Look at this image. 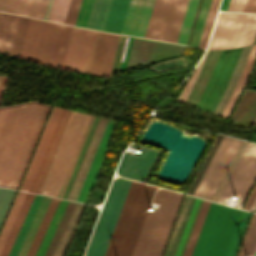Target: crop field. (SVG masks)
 Segmentation results:
<instances>
[{"label":"crop field","instance_id":"1","mask_svg":"<svg viewBox=\"0 0 256 256\" xmlns=\"http://www.w3.org/2000/svg\"><path fill=\"white\" fill-rule=\"evenodd\" d=\"M23 104L0 108V167L13 136ZM49 106L26 103L0 170V185L17 189Z\"/></svg>","mask_w":256,"mask_h":256},{"label":"crop field","instance_id":"2","mask_svg":"<svg viewBox=\"0 0 256 256\" xmlns=\"http://www.w3.org/2000/svg\"><path fill=\"white\" fill-rule=\"evenodd\" d=\"M211 203L192 256H235L249 212Z\"/></svg>","mask_w":256,"mask_h":256},{"label":"crop field","instance_id":"3","mask_svg":"<svg viewBox=\"0 0 256 256\" xmlns=\"http://www.w3.org/2000/svg\"><path fill=\"white\" fill-rule=\"evenodd\" d=\"M155 188L131 182L105 256H131Z\"/></svg>","mask_w":256,"mask_h":256},{"label":"crop field","instance_id":"4","mask_svg":"<svg viewBox=\"0 0 256 256\" xmlns=\"http://www.w3.org/2000/svg\"><path fill=\"white\" fill-rule=\"evenodd\" d=\"M183 194L158 190L153 201L158 211L147 212L132 256H161L183 199Z\"/></svg>","mask_w":256,"mask_h":256},{"label":"crop field","instance_id":"5","mask_svg":"<svg viewBox=\"0 0 256 256\" xmlns=\"http://www.w3.org/2000/svg\"><path fill=\"white\" fill-rule=\"evenodd\" d=\"M89 117L72 111L38 193L57 196Z\"/></svg>","mask_w":256,"mask_h":256},{"label":"crop field","instance_id":"6","mask_svg":"<svg viewBox=\"0 0 256 256\" xmlns=\"http://www.w3.org/2000/svg\"><path fill=\"white\" fill-rule=\"evenodd\" d=\"M255 33V14L219 12L208 49L250 45Z\"/></svg>","mask_w":256,"mask_h":256},{"label":"crop field","instance_id":"7","mask_svg":"<svg viewBox=\"0 0 256 256\" xmlns=\"http://www.w3.org/2000/svg\"><path fill=\"white\" fill-rule=\"evenodd\" d=\"M130 182L114 179L85 256L104 255Z\"/></svg>","mask_w":256,"mask_h":256},{"label":"crop field","instance_id":"8","mask_svg":"<svg viewBox=\"0 0 256 256\" xmlns=\"http://www.w3.org/2000/svg\"><path fill=\"white\" fill-rule=\"evenodd\" d=\"M71 29L42 20L32 61L62 69Z\"/></svg>","mask_w":256,"mask_h":256},{"label":"crop field","instance_id":"9","mask_svg":"<svg viewBox=\"0 0 256 256\" xmlns=\"http://www.w3.org/2000/svg\"><path fill=\"white\" fill-rule=\"evenodd\" d=\"M256 180V144L247 142L218 202L226 204L229 197L238 196L235 207L241 208Z\"/></svg>","mask_w":256,"mask_h":256},{"label":"crop field","instance_id":"10","mask_svg":"<svg viewBox=\"0 0 256 256\" xmlns=\"http://www.w3.org/2000/svg\"><path fill=\"white\" fill-rule=\"evenodd\" d=\"M241 48L221 50L196 107L212 113L238 59Z\"/></svg>","mask_w":256,"mask_h":256},{"label":"crop field","instance_id":"11","mask_svg":"<svg viewBox=\"0 0 256 256\" xmlns=\"http://www.w3.org/2000/svg\"><path fill=\"white\" fill-rule=\"evenodd\" d=\"M240 140L224 136L193 196L211 200Z\"/></svg>","mask_w":256,"mask_h":256},{"label":"crop field","instance_id":"12","mask_svg":"<svg viewBox=\"0 0 256 256\" xmlns=\"http://www.w3.org/2000/svg\"><path fill=\"white\" fill-rule=\"evenodd\" d=\"M80 28L72 29L63 69L89 74L98 32Z\"/></svg>","mask_w":256,"mask_h":256},{"label":"crop field","instance_id":"13","mask_svg":"<svg viewBox=\"0 0 256 256\" xmlns=\"http://www.w3.org/2000/svg\"><path fill=\"white\" fill-rule=\"evenodd\" d=\"M27 17L0 12V52L21 56L26 33Z\"/></svg>","mask_w":256,"mask_h":256},{"label":"crop field","instance_id":"14","mask_svg":"<svg viewBox=\"0 0 256 256\" xmlns=\"http://www.w3.org/2000/svg\"><path fill=\"white\" fill-rule=\"evenodd\" d=\"M132 145L134 148L141 149L143 151L142 154L134 156L125 152L117 169V173L122 177L145 183L160 151L134 143H132Z\"/></svg>","mask_w":256,"mask_h":256},{"label":"crop field","instance_id":"15","mask_svg":"<svg viewBox=\"0 0 256 256\" xmlns=\"http://www.w3.org/2000/svg\"><path fill=\"white\" fill-rule=\"evenodd\" d=\"M118 37L99 32L90 74L109 78Z\"/></svg>","mask_w":256,"mask_h":256},{"label":"crop field","instance_id":"16","mask_svg":"<svg viewBox=\"0 0 256 256\" xmlns=\"http://www.w3.org/2000/svg\"><path fill=\"white\" fill-rule=\"evenodd\" d=\"M153 2L154 0H131L121 33L143 37Z\"/></svg>","mask_w":256,"mask_h":256},{"label":"crop field","instance_id":"17","mask_svg":"<svg viewBox=\"0 0 256 256\" xmlns=\"http://www.w3.org/2000/svg\"><path fill=\"white\" fill-rule=\"evenodd\" d=\"M219 51L220 50H214V51H209V52L207 51L208 52V54L206 53L207 56L205 54L206 59H205V56H204L203 59L201 60L200 64H199L196 72H195L196 68L194 69L192 75L190 76V78L187 81L185 87L183 88L182 92L180 93V95L178 97V100H181V98H182V96H183V94H184V92H185V90H186V88H187V86H188V84H189V82H190L194 72H195V74H194V76H193V78H192V80H191V82H190V84H189V86H188V88H187V90H186L182 100H181L183 102L185 101V99H186V97H187V95H188V93H189V91H190V89H191V87H192V85H193V83H194L198 73H199V70H200V68L202 66V63H203V61L205 59V61L203 63V66H202V68L200 70V73H199V75H198V77H197V79H196V81H195V83H194V85H193V87H192V89H191V91H190L186 101H185L188 104H191L193 106L195 105V103H196V101H197V99H198V97H199V95H200V93H201V91H202V89H203L207 79H208V76H209V74H210V72L212 70V67H213V65L215 63V60L217 58V55H218Z\"/></svg>","mask_w":256,"mask_h":256},{"label":"crop field","instance_id":"18","mask_svg":"<svg viewBox=\"0 0 256 256\" xmlns=\"http://www.w3.org/2000/svg\"><path fill=\"white\" fill-rule=\"evenodd\" d=\"M115 121L109 120L76 201L86 203L100 169Z\"/></svg>","mask_w":256,"mask_h":256},{"label":"crop field","instance_id":"19","mask_svg":"<svg viewBox=\"0 0 256 256\" xmlns=\"http://www.w3.org/2000/svg\"><path fill=\"white\" fill-rule=\"evenodd\" d=\"M62 109L54 107L20 189L28 191Z\"/></svg>","mask_w":256,"mask_h":256},{"label":"crop field","instance_id":"20","mask_svg":"<svg viewBox=\"0 0 256 256\" xmlns=\"http://www.w3.org/2000/svg\"><path fill=\"white\" fill-rule=\"evenodd\" d=\"M69 114H70V111H67V110H64V109L62 110L61 115L58 119V122L56 124L55 129H54V132L52 134V137L49 141V144L47 146V149L45 151V154L43 156V159L40 163V166L38 168V171L36 173V176L34 178V181L31 185V188H30L29 191L35 192V193L38 192L39 187H40V185L42 183V180L44 178V175L46 173V170L48 168V165H49V163L51 161V158L53 156V153L55 151V148L57 146V143H58V141L60 139V136L62 134V131L64 129V126L66 124V121L69 117Z\"/></svg>","mask_w":256,"mask_h":256},{"label":"crop field","instance_id":"21","mask_svg":"<svg viewBox=\"0 0 256 256\" xmlns=\"http://www.w3.org/2000/svg\"><path fill=\"white\" fill-rule=\"evenodd\" d=\"M93 118H94V117H92V116L90 117L89 122H88V124H87V126H86V129H85L84 134H83V136H82V138H81V141H80V143H79V146H78V148H77V150H76V153H75V155H74V158H73V160H72V163H71V165H70V167H69V170H68V172H67V175H66V177H65V179H64V182H63V184H62V187H61V189H60V191H59V194H58V196H57V197H59V198H61L62 195H63V192H64V190H65V187H66V185H67V182H68V180H69V177H70L71 172H72V170H73V167H74V165H75V162H76V160H77V157H78V155H79V153H80V150H81V148H82V145H83V143H84V140H85V138H86V135H87V133H88V130H89V128H90V125H91V123H92ZM98 119H99V118L95 117L94 120H93V123H92V125H91L90 130H89V133H88V135H87V138H86V140H85V143H84L83 148H82V150H81V153H80V155H79V158H78V160H77V162H76V165H75V167H74V170H73V172H72V175H71V177H70V180H69V182H68V185H67V187H66V190H65V192H64V195H63V197H62V198H64V199H66L67 196H68V193H69V191H70V188H71V186H72V183H73V181H74V178H75L76 173H77V171H78V168H79V166H80V163H81V161H82V158H83V156H84V154H85V151H86V149H87V146H88V144H89V141H90V139H91V136H92V134H93V131H94V129H95V126H96V124H97Z\"/></svg>","mask_w":256,"mask_h":256},{"label":"crop field","instance_id":"22","mask_svg":"<svg viewBox=\"0 0 256 256\" xmlns=\"http://www.w3.org/2000/svg\"><path fill=\"white\" fill-rule=\"evenodd\" d=\"M195 197L186 196L183 207L181 209L180 215L178 217L176 226L174 228L173 234L171 236L170 242L168 244L167 250L164 256H174L176 249L178 247L179 241L181 239L182 233L184 231L185 225L187 223L188 217L190 215L191 209L193 207Z\"/></svg>","mask_w":256,"mask_h":256},{"label":"crop field","instance_id":"23","mask_svg":"<svg viewBox=\"0 0 256 256\" xmlns=\"http://www.w3.org/2000/svg\"><path fill=\"white\" fill-rule=\"evenodd\" d=\"M130 0H112L103 31L121 32Z\"/></svg>","mask_w":256,"mask_h":256},{"label":"crop field","instance_id":"24","mask_svg":"<svg viewBox=\"0 0 256 256\" xmlns=\"http://www.w3.org/2000/svg\"><path fill=\"white\" fill-rule=\"evenodd\" d=\"M34 196L35 195H33V194L32 195H30L29 193L26 194V196L23 200V203L20 207V210H19V212L16 216V219H15L13 225H12V228L9 232V235H8L6 241H5V244L2 248L0 256H8V253H9L11 247H12V244H13L16 236H17V233H18V231L21 227V224H22V222H23V220L26 216V213H27V211L30 207V204H31Z\"/></svg>","mask_w":256,"mask_h":256},{"label":"crop field","instance_id":"25","mask_svg":"<svg viewBox=\"0 0 256 256\" xmlns=\"http://www.w3.org/2000/svg\"><path fill=\"white\" fill-rule=\"evenodd\" d=\"M51 199L50 197H43L17 256H26Z\"/></svg>","mask_w":256,"mask_h":256},{"label":"crop field","instance_id":"26","mask_svg":"<svg viewBox=\"0 0 256 256\" xmlns=\"http://www.w3.org/2000/svg\"><path fill=\"white\" fill-rule=\"evenodd\" d=\"M255 58H256V45H253L252 48H251V51L249 53V56L247 58L244 69L242 71V74L240 76V79L238 81V84H237V86H236V88H235V90H234V92H233V94H232V96H231L223 114H222V117H226V118L228 117V115H229V113H230V111H231V109H232V107H233V105H234V103H235V101H236V99H237L245 81H246V78H247V76L250 72V69H251V67L254 63Z\"/></svg>","mask_w":256,"mask_h":256},{"label":"crop field","instance_id":"27","mask_svg":"<svg viewBox=\"0 0 256 256\" xmlns=\"http://www.w3.org/2000/svg\"><path fill=\"white\" fill-rule=\"evenodd\" d=\"M111 0H95L88 22V28L103 30Z\"/></svg>","mask_w":256,"mask_h":256},{"label":"crop field","instance_id":"28","mask_svg":"<svg viewBox=\"0 0 256 256\" xmlns=\"http://www.w3.org/2000/svg\"><path fill=\"white\" fill-rule=\"evenodd\" d=\"M42 197L43 196H39V195L35 196L32 204H31V207L27 213V216L22 224V227L18 233V236L13 244V247L9 253V256H16Z\"/></svg>","mask_w":256,"mask_h":256},{"label":"crop field","instance_id":"29","mask_svg":"<svg viewBox=\"0 0 256 256\" xmlns=\"http://www.w3.org/2000/svg\"><path fill=\"white\" fill-rule=\"evenodd\" d=\"M59 201L60 200H58V199H54V198L52 199L27 256H35L37 249L42 241V238L46 232V229L51 221V218L55 212V209H56Z\"/></svg>","mask_w":256,"mask_h":256},{"label":"crop field","instance_id":"30","mask_svg":"<svg viewBox=\"0 0 256 256\" xmlns=\"http://www.w3.org/2000/svg\"><path fill=\"white\" fill-rule=\"evenodd\" d=\"M41 20L30 18L22 52V59H32Z\"/></svg>","mask_w":256,"mask_h":256},{"label":"crop field","instance_id":"31","mask_svg":"<svg viewBox=\"0 0 256 256\" xmlns=\"http://www.w3.org/2000/svg\"><path fill=\"white\" fill-rule=\"evenodd\" d=\"M211 202L203 201L200 212L198 214L197 220L195 222L194 228L192 230L191 236L189 238L188 244L186 246L183 256H191L194 245L196 243L197 237L199 235L200 229L202 227L203 221L205 219L206 213L208 211L209 205Z\"/></svg>","mask_w":256,"mask_h":256},{"label":"crop field","instance_id":"32","mask_svg":"<svg viewBox=\"0 0 256 256\" xmlns=\"http://www.w3.org/2000/svg\"><path fill=\"white\" fill-rule=\"evenodd\" d=\"M33 0H0V11L30 15Z\"/></svg>","mask_w":256,"mask_h":256},{"label":"crop field","instance_id":"33","mask_svg":"<svg viewBox=\"0 0 256 256\" xmlns=\"http://www.w3.org/2000/svg\"><path fill=\"white\" fill-rule=\"evenodd\" d=\"M67 202L68 201H64V200L60 201V203H59V205H58V207L56 209V212H55V214H54V216L52 218V221H51V223H50V225H49V227L47 229V232H46V234H45V236L43 238V241H42V243H41V245H40V247L38 249V252H37L36 256H43L44 255L45 250H46V248H47V246H48V244L50 242V239H51V237H52V235L54 233V230H55V228H56V226H57V224L59 222V219H60V217H61V215L63 213V210H64Z\"/></svg>","mask_w":256,"mask_h":256},{"label":"crop field","instance_id":"34","mask_svg":"<svg viewBox=\"0 0 256 256\" xmlns=\"http://www.w3.org/2000/svg\"><path fill=\"white\" fill-rule=\"evenodd\" d=\"M256 246V214H253L238 256L252 255ZM255 252V251H254ZM254 255V254H253Z\"/></svg>","mask_w":256,"mask_h":256},{"label":"crop field","instance_id":"35","mask_svg":"<svg viewBox=\"0 0 256 256\" xmlns=\"http://www.w3.org/2000/svg\"><path fill=\"white\" fill-rule=\"evenodd\" d=\"M210 1L211 0H203L202 1L201 8H200V11H199V14H198V18H197V21H196L194 31H193V34H192L191 41H190L189 45L196 46V47L198 46V42H199V39H200V36H201V32H202V29H203L205 18H206L208 8H209V5H210Z\"/></svg>","mask_w":256,"mask_h":256},{"label":"crop field","instance_id":"36","mask_svg":"<svg viewBox=\"0 0 256 256\" xmlns=\"http://www.w3.org/2000/svg\"><path fill=\"white\" fill-rule=\"evenodd\" d=\"M202 201H203L202 199H198V198L196 199V202L194 204L193 210L191 212L190 218L188 220L187 226L185 228L184 234L182 236L181 242L179 244V247L175 256H182L183 254V251L185 249L186 243L188 241L189 235L191 233L192 227L194 225V222L197 217Z\"/></svg>","mask_w":256,"mask_h":256},{"label":"crop field","instance_id":"37","mask_svg":"<svg viewBox=\"0 0 256 256\" xmlns=\"http://www.w3.org/2000/svg\"><path fill=\"white\" fill-rule=\"evenodd\" d=\"M198 0H190L189 4H188V8L185 14V18L183 21V25L181 28V32L178 38V42L180 44H186V40L189 34V30L191 27V23L193 20V16L196 10V6H197Z\"/></svg>","mask_w":256,"mask_h":256},{"label":"crop field","instance_id":"38","mask_svg":"<svg viewBox=\"0 0 256 256\" xmlns=\"http://www.w3.org/2000/svg\"><path fill=\"white\" fill-rule=\"evenodd\" d=\"M69 2L70 0H53L47 20L63 23Z\"/></svg>","mask_w":256,"mask_h":256},{"label":"crop field","instance_id":"39","mask_svg":"<svg viewBox=\"0 0 256 256\" xmlns=\"http://www.w3.org/2000/svg\"><path fill=\"white\" fill-rule=\"evenodd\" d=\"M16 191L0 188V225Z\"/></svg>","mask_w":256,"mask_h":256},{"label":"crop field","instance_id":"40","mask_svg":"<svg viewBox=\"0 0 256 256\" xmlns=\"http://www.w3.org/2000/svg\"><path fill=\"white\" fill-rule=\"evenodd\" d=\"M94 0H82V4L79 10V14L76 20V24L78 26H87V22L89 19V15L91 12V8Z\"/></svg>","mask_w":256,"mask_h":256},{"label":"crop field","instance_id":"41","mask_svg":"<svg viewBox=\"0 0 256 256\" xmlns=\"http://www.w3.org/2000/svg\"><path fill=\"white\" fill-rule=\"evenodd\" d=\"M23 193H24V192L19 191L18 194H17V196H16V198H15V201H14L12 207H11V210H10V212H9V214H8V216H7V219H6V221H5L4 225H3V228H2V230H1V232H0V244H1L2 240H3V237H4V235H5L6 231H7V229H8V226H9L11 220H12V217H13L15 211H16V208H17V206H18V204H19V202H20V199H21ZM24 194H25V193H24ZM23 196H24V195H23ZM22 198H23V197H22ZM19 205H20V204H19ZM18 207H19V206H18ZM15 214H16V213H15Z\"/></svg>","mask_w":256,"mask_h":256},{"label":"crop field","instance_id":"42","mask_svg":"<svg viewBox=\"0 0 256 256\" xmlns=\"http://www.w3.org/2000/svg\"><path fill=\"white\" fill-rule=\"evenodd\" d=\"M81 0H71L64 23L75 24Z\"/></svg>","mask_w":256,"mask_h":256},{"label":"crop field","instance_id":"43","mask_svg":"<svg viewBox=\"0 0 256 256\" xmlns=\"http://www.w3.org/2000/svg\"><path fill=\"white\" fill-rule=\"evenodd\" d=\"M47 1L48 0H35L30 16L34 18L42 19Z\"/></svg>","mask_w":256,"mask_h":256},{"label":"crop field","instance_id":"44","mask_svg":"<svg viewBox=\"0 0 256 256\" xmlns=\"http://www.w3.org/2000/svg\"><path fill=\"white\" fill-rule=\"evenodd\" d=\"M215 2H216V0L211 1L209 12H208V15H207V18H206V22H205L204 29H203V32H202V36H201L199 46H198L200 48L203 47V43H204L205 36H206L207 30H208V26H209V23H210V19H211V16H212V12H213V9H214Z\"/></svg>","mask_w":256,"mask_h":256},{"label":"crop field","instance_id":"45","mask_svg":"<svg viewBox=\"0 0 256 256\" xmlns=\"http://www.w3.org/2000/svg\"><path fill=\"white\" fill-rule=\"evenodd\" d=\"M132 38L133 37L129 36L128 44H125V46H124V52H123V57H122L121 66H120L119 72L123 71L125 69V65H126L128 53H129V50H130Z\"/></svg>","mask_w":256,"mask_h":256},{"label":"crop field","instance_id":"46","mask_svg":"<svg viewBox=\"0 0 256 256\" xmlns=\"http://www.w3.org/2000/svg\"><path fill=\"white\" fill-rule=\"evenodd\" d=\"M255 197H256V184L254 185L249 197L247 198V200H246V202L243 206V209L249 210V208H250L252 202L254 201Z\"/></svg>","mask_w":256,"mask_h":256},{"label":"crop field","instance_id":"47","mask_svg":"<svg viewBox=\"0 0 256 256\" xmlns=\"http://www.w3.org/2000/svg\"><path fill=\"white\" fill-rule=\"evenodd\" d=\"M244 11L256 12V0H247Z\"/></svg>","mask_w":256,"mask_h":256},{"label":"crop field","instance_id":"48","mask_svg":"<svg viewBox=\"0 0 256 256\" xmlns=\"http://www.w3.org/2000/svg\"><path fill=\"white\" fill-rule=\"evenodd\" d=\"M219 2H220V0H217V2H216V6H215V9H214V13H213V16H212V19H211V23H210V26H209V30H208L207 37H206V40H205V43H204V47H203V48H205V46H206V44H207L208 37H209V34H210V30H211V27H212V24H213L214 16H215V13H216V11H217V9H218V6H219ZM215 17H216V16H215Z\"/></svg>","mask_w":256,"mask_h":256},{"label":"crop field","instance_id":"49","mask_svg":"<svg viewBox=\"0 0 256 256\" xmlns=\"http://www.w3.org/2000/svg\"><path fill=\"white\" fill-rule=\"evenodd\" d=\"M245 3H246V0H236L233 11H243Z\"/></svg>","mask_w":256,"mask_h":256},{"label":"crop field","instance_id":"50","mask_svg":"<svg viewBox=\"0 0 256 256\" xmlns=\"http://www.w3.org/2000/svg\"><path fill=\"white\" fill-rule=\"evenodd\" d=\"M7 80H8L7 77H2L0 80V99H1L2 93L4 91L5 85L7 83Z\"/></svg>","mask_w":256,"mask_h":256},{"label":"crop field","instance_id":"51","mask_svg":"<svg viewBox=\"0 0 256 256\" xmlns=\"http://www.w3.org/2000/svg\"><path fill=\"white\" fill-rule=\"evenodd\" d=\"M228 3H229V0H223L220 10L226 11V10H227V6H228Z\"/></svg>","mask_w":256,"mask_h":256},{"label":"crop field","instance_id":"52","mask_svg":"<svg viewBox=\"0 0 256 256\" xmlns=\"http://www.w3.org/2000/svg\"><path fill=\"white\" fill-rule=\"evenodd\" d=\"M51 2H52V0L48 1L47 8H46V11H45V14H44V18H43L45 20L47 19V15H48V12H49V9H50Z\"/></svg>","mask_w":256,"mask_h":256},{"label":"crop field","instance_id":"53","mask_svg":"<svg viewBox=\"0 0 256 256\" xmlns=\"http://www.w3.org/2000/svg\"><path fill=\"white\" fill-rule=\"evenodd\" d=\"M234 3H235V0H230V3H229L227 11H232L233 10Z\"/></svg>","mask_w":256,"mask_h":256},{"label":"crop field","instance_id":"54","mask_svg":"<svg viewBox=\"0 0 256 256\" xmlns=\"http://www.w3.org/2000/svg\"><path fill=\"white\" fill-rule=\"evenodd\" d=\"M250 210L256 212V199H255V201L253 202V204H252Z\"/></svg>","mask_w":256,"mask_h":256},{"label":"crop field","instance_id":"55","mask_svg":"<svg viewBox=\"0 0 256 256\" xmlns=\"http://www.w3.org/2000/svg\"><path fill=\"white\" fill-rule=\"evenodd\" d=\"M198 11V10H197ZM194 22V21H193ZM193 25V24H192ZM192 28V27H191ZM190 35V34H189ZM188 39H189V37H188ZM188 42V41H187Z\"/></svg>","mask_w":256,"mask_h":256},{"label":"crop field","instance_id":"56","mask_svg":"<svg viewBox=\"0 0 256 256\" xmlns=\"http://www.w3.org/2000/svg\"><path fill=\"white\" fill-rule=\"evenodd\" d=\"M1 78V77H0Z\"/></svg>","mask_w":256,"mask_h":256},{"label":"crop field","instance_id":"57","mask_svg":"<svg viewBox=\"0 0 256 256\" xmlns=\"http://www.w3.org/2000/svg\"><path fill=\"white\" fill-rule=\"evenodd\" d=\"M256 256V255H255Z\"/></svg>","mask_w":256,"mask_h":256}]
</instances>
